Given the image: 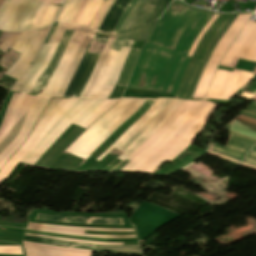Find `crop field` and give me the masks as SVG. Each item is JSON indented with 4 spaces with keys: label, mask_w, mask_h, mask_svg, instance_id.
Masks as SVG:
<instances>
[{
    "label": "crop field",
    "mask_w": 256,
    "mask_h": 256,
    "mask_svg": "<svg viewBox=\"0 0 256 256\" xmlns=\"http://www.w3.org/2000/svg\"><path fill=\"white\" fill-rule=\"evenodd\" d=\"M103 100L104 99L95 100L94 103L90 106V108L77 119L74 125L80 126ZM111 100L112 99H105L100 104V106L87 118V120L81 125V127L86 128L95 119V117L109 104Z\"/></svg>",
    "instance_id": "4a817a6b"
},
{
    "label": "crop field",
    "mask_w": 256,
    "mask_h": 256,
    "mask_svg": "<svg viewBox=\"0 0 256 256\" xmlns=\"http://www.w3.org/2000/svg\"><path fill=\"white\" fill-rule=\"evenodd\" d=\"M200 101H187L121 171H134Z\"/></svg>",
    "instance_id": "22f410ed"
},
{
    "label": "crop field",
    "mask_w": 256,
    "mask_h": 256,
    "mask_svg": "<svg viewBox=\"0 0 256 256\" xmlns=\"http://www.w3.org/2000/svg\"><path fill=\"white\" fill-rule=\"evenodd\" d=\"M159 0H149V2L146 4V6L143 8L141 13L139 14L132 30L130 31L125 43L123 46L131 48L134 40L144 23L146 17L149 15V13L152 11V9L155 7V5L158 3ZM170 0H160L159 3L156 5V7L153 9V11L150 13V15L147 17L137 39L135 42L145 41L155 19L158 17V15L161 13V11L164 9V7L167 5V3ZM123 47L115 64L113 65L98 97H106L123 62L125 61L130 49Z\"/></svg>",
    "instance_id": "e52e79f7"
},
{
    "label": "crop field",
    "mask_w": 256,
    "mask_h": 256,
    "mask_svg": "<svg viewBox=\"0 0 256 256\" xmlns=\"http://www.w3.org/2000/svg\"><path fill=\"white\" fill-rule=\"evenodd\" d=\"M38 1L18 0L4 31H26L34 26L44 28L50 25L59 7L37 4ZM31 33H2L0 48L5 52L7 49L19 52L21 54L18 59L32 62L44 36Z\"/></svg>",
    "instance_id": "ac0d7876"
},
{
    "label": "crop field",
    "mask_w": 256,
    "mask_h": 256,
    "mask_svg": "<svg viewBox=\"0 0 256 256\" xmlns=\"http://www.w3.org/2000/svg\"><path fill=\"white\" fill-rule=\"evenodd\" d=\"M92 1L93 0H88L87 1V3H86V5H85V7H84V9H83V11H82V13H81V15H80V17H79V19H78L76 24L62 23V25H61V27H60V29H59V31H58V33H57L53 43H52V45H51V47H50V49H49V51H48V53H47L43 63H42V65H41V67H40V69H39V71H38V73H37L33 83H32V85H31V87H30V89L28 91V93H30V91H31L35 81L40 76V74L47 68V66H48V64H49V62L51 60V57H52V55H53V53H54V51H55V49H56V47H57V45H58V43L60 41V38H61L64 30L66 28L76 29V31H75V33H74V35H73V37H72V39H71V41H70V43L68 45V47H67L63 57H62L59 65L57 66V64H58V62H59V60H60V58H61V56H62V54H63V52H64V50H65V48H66V46L68 44V42H69V40H70V38H71V36H72V34L74 32V30L66 29V31L64 32V34L62 36V39H61V41L59 43V46H58V48H57V50H56V52H55V54H54V56H53V58H52V60L50 62L48 68L42 73V75L36 81L32 91H31L32 94L39 95L42 92L43 88L45 87L46 83L48 82L49 78L51 77L53 71L55 70V68L57 66L56 70L54 71L52 77L50 78V80L47 83L46 87L44 88L43 92L40 94L42 96H45V94H46V92H47V90H48V88H49V86H50V84H51V82H52V80H53V78H54V76H55V74H56V72H57V70H58V68H59V66H60V64H61V62H62V60H63V58H64V56H65V54H66V52H67V50H68V48H69V46H70V44H71V42H72V40H73V38H74V36H75V34H76V32H77V30H78V28H79V26H80V24H81V22H82V20H83V18H84V16H85V14H86V12H87V10H88V8H89V6H90Z\"/></svg>",
    "instance_id": "dd49c442"
},
{
    "label": "crop field",
    "mask_w": 256,
    "mask_h": 256,
    "mask_svg": "<svg viewBox=\"0 0 256 256\" xmlns=\"http://www.w3.org/2000/svg\"><path fill=\"white\" fill-rule=\"evenodd\" d=\"M255 143H256L255 140H252L247 137L231 132V139L227 144V146L223 147V146L214 144L212 151L218 154L224 155L226 157L240 161L243 158V156L247 153L249 148L253 146ZM212 145L213 144L210 143L209 149L207 152L218 155L216 153L211 152ZM221 155H218V156H221ZM224 156H221V157H224ZM229 158H226V159H229ZM232 159H229V160H232ZM232 161H235V160H232ZM239 161H235V162L240 163ZM243 163L256 167V145L248 152L247 156L243 160ZM243 163L241 164L248 166L250 168L256 169L255 167H252Z\"/></svg>",
    "instance_id": "cbeb9de0"
},
{
    "label": "crop field",
    "mask_w": 256,
    "mask_h": 256,
    "mask_svg": "<svg viewBox=\"0 0 256 256\" xmlns=\"http://www.w3.org/2000/svg\"><path fill=\"white\" fill-rule=\"evenodd\" d=\"M0 253L22 254L20 246H0Z\"/></svg>",
    "instance_id": "4177f3b9"
},
{
    "label": "crop field",
    "mask_w": 256,
    "mask_h": 256,
    "mask_svg": "<svg viewBox=\"0 0 256 256\" xmlns=\"http://www.w3.org/2000/svg\"><path fill=\"white\" fill-rule=\"evenodd\" d=\"M30 64L16 61L4 74V77L17 80L28 68Z\"/></svg>",
    "instance_id": "214f88e0"
},
{
    "label": "crop field",
    "mask_w": 256,
    "mask_h": 256,
    "mask_svg": "<svg viewBox=\"0 0 256 256\" xmlns=\"http://www.w3.org/2000/svg\"><path fill=\"white\" fill-rule=\"evenodd\" d=\"M148 0H131L124 9L109 41L123 44L137 15ZM107 42L99 61L80 97H96L119 50L121 44Z\"/></svg>",
    "instance_id": "34b2d1b8"
},
{
    "label": "crop field",
    "mask_w": 256,
    "mask_h": 256,
    "mask_svg": "<svg viewBox=\"0 0 256 256\" xmlns=\"http://www.w3.org/2000/svg\"><path fill=\"white\" fill-rule=\"evenodd\" d=\"M110 1L111 0H94L92 2L46 96L61 97L83 51Z\"/></svg>",
    "instance_id": "412701ff"
},
{
    "label": "crop field",
    "mask_w": 256,
    "mask_h": 256,
    "mask_svg": "<svg viewBox=\"0 0 256 256\" xmlns=\"http://www.w3.org/2000/svg\"><path fill=\"white\" fill-rule=\"evenodd\" d=\"M60 101L41 98L3 137L0 141V164Z\"/></svg>",
    "instance_id": "5a996713"
},
{
    "label": "crop field",
    "mask_w": 256,
    "mask_h": 256,
    "mask_svg": "<svg viewBox=\"0 0 256 256\" xmlns=\"http://www.w3.org/2000/svg\"><path fill=\"white\" fill-rule=\"evenodd\" d=\"M130 0H113L111 2V4L108 6L74 76L72 77L63 97H68L77 78H78V75L89 55L88 51L94 41L95 38H99V39H105V40H108L113 28L115 27L123 9L125 8V6L128 4ZM99 58V55H95V54H90L71 94L69 97H79L87 79L89 78L97 60Z\"/></svg>",
    "instance_id": "f4fd0767"
},
{
    "label": "crop field",
    "mask_w": 256,
    "mask_h": 256,
    "mask_svg": "<svg viewBox=\"0 0 256 256\" xmlns=\"http://www.w3.org/2000/svg\"><path fill=\"white\" fill-rule=\"evenodd\" d=\"M26 230H30V231H39V232H50V233L64 234V235L96 237V238H136L135 235H130V236H105V235L71 234V233H65V232L47 231V230L32 229V228H27Z\"/></svg>",
    "instance_id": "dafd665d"
},
{
    "label": "crop field",
    "mask_w": 256,
    "mask_h": 256,
    "mask_svg": "<svg viewBox=\"0 0 256 256\" xmlns=\"http://www.w3.org/2000/svg\"><path fill=\"white\" fill-rule=\"evenodd\" d=\"M86 1H87V0H83V1L80 3V5H79V7H78V10H77V12H76V14H75V16H74L75 19H76L78 13L81 11V9L84 7ZM75 19L72 20L73 23H74Z\"/></svg>",
    "instance_id": "730fd06b"
},
{
    "label": "crop field",
    "mask_w": 256,
    "mask_h": 256,
    "mask_svg": "<svg viewBox=\"0 0 256 256\" xmlns=\"http://www.w3.org/2000/svg\"><path fill=\"white\" fill-rule=\"evenodd\" d=\"M210 101L203 102L210 103ZM210 104L200 102L137 169L153 170L163 160V158L182 140V138L201 120V118L213 107L214 104ZM215 108L216 105L206 114V116L200 121V123L206 124L209 116L215 110Z\"/></svg>",
    "instance_id": "d8731c3e"
},
{
    "label": "crop field",
    "mask_w": 256,
    "mask_h": 256,
    "mask_svg": "<svg viewBox=\"0 0 256 256\" xmlns=\"http://www.w3.org/2000/svg\"><path fill=\"white\" fill-rule=\"evenodd\" d=\"M251 99L256 100V95L253 98H251Z\"/></svg>",
    "instance_id": "ae1a2a85"
},
{
    "label": "crop field",
    "mask_w": 256,
    "mask_h": 256,
    "mask_svg": "<svg viewBox=\"0 0 256 256\" xmlns=\"http://www.w3.org/2000/svg\"><path fill=\"white\" fill-rule=\"evenodd\" d=\"M256 31V23H252V22H247V24L245 25V27L243 28L242 32L239 34V36L237 37V39L233 42L232 46L230 47V49L227 51V53L225 54L224 58L221 61V65H227V66H232L234 67L245 44L248 42V40L252 37V35L255 33ZM225 71L223 70H217L216 75L214 77V80L211 84V87L209 89L208 94L206 95L205 99H211L223 74ZM231 72L226 71L213 98L212 99H218L229 76H230Z\"/></svg>",
    "instance_id": "28ad6ade"
},
{
    "label": "crop field",
    "mask_w": 256,
    "mask_h": 256,
    "mask_svg": "<svg viewBox=\"0 0 256 256\" xmlns=\"http://www.w3.org/2000/svg\"><path fill=\"white\" fill-rule=\"evenodd\" d=\"M53 0H40L39 3L51 4ZM38 3V2H37Z\"/></svg>",
    "instance_id": "eef30255"
},
{
    "label": "crop field",
    "mask_w": 256,
    "mask_h": 256,
    "mask_svg": "<svg viewBox=\"0 0 256 256\" xmlns=\"http://www.w3.org/2000/svg\"><path fill=\"white\" fill-rule=\"evenodd\" d=\"M36 220L50 221V222L95 223V224L123 225L121 219L53 216V215H43V214H38Z\"/></svg>",
    "instance_id": "d9b57169"
},
{
    "label": "crop field",
    "mask_w": 256,
    "mask_h": 256,
    "mask_svg": "<svg viewBox=\"0 0 256 256\" xmlns=\"http://www.w3.org/2000/svg\"><path fill=\"white\" fill-rule=\"evenodd\" d=\"M250 14L246 15H240V17L237 19V21L234 23V25L231 27V29L228 31V33L223 38L214 58L212 59L204 77L202 78L193 98L202 99L211 80L214 75V72L216 70L217 64L220 60V58L225 53L226 49L232 42V40L235 38V36L238 34L240 29L243 27L245 22L247 21Z\"/></svg>",
    "instance_id": "5142ce71"
},
{
    "label": "crop field",
    "mask_w": 256,
    "mask_h": 256,
    "mask_svg": "<svg viewBox=\"0 0 256 256\" xmlns=\"http://www.w3.org/2000/svg\"><path fill=\"white\" fill-rule=\"evenodd\" d=\"M24 240L36 242V243H43V244H50V245H57V246H63V247L85 249V250H94L95 249V245L75 244V243L47 240V239H41V238H35V237H29V236H25Z\"/></svg>",
    "instance_id": "bc2a9ffb"
},
{
    "label": "crop field",
    "mask_w": 256,
    "mask_h": 256,
    "mask_svg": "<svg viewBox=\"0 0 256 256\" xmlns=\"http://www.w3.org/2000/svg\"><path fill=\"white\" fill-rule=\"evenodd\" d=\"M25 235L48 238V239H57V240H66V241H74V242L91 243V244H96V245H122V243H101V242L70 240V239L55 238V237H49V236H43V235H37V234H29V233H26Z\"/></svg>",
    "instance_id": "00972430"
},
{
    "label": "crop field",
    "mask_w": 256,
    "mask_h": 256,
    "mask_svg": "<svg viewBox=\"0 0 256 256\" xmlns=\"http://www.w3.org/2000/svg\"><path fill=\"white\" fill-rule=\"evenodd\" d=\"M251 73L234 69L220 98L227 100L231 97L243 84L247 83Z\"/></svg>",
    "instance_id": "733c2abd"
},
{
    "label": "crop field",
    "mask_w": 256,
    "mask_h": 256,
    "mask_svg": "<svg viewBox=\"0 0 256 256\" xmlns=\"http://www.w3.org/2000/svg\"><path fill=\"white\" fill-rule=\"evenodd\" d=\"M30 224H32V223H30ZM32 225L47 226V227H56V228L80 229V230H96V231H134L133 229L75 228V227L52 226V225H44V224H32Z\"/></svg>",
    "instance_id": "a9b5d70f"
},
{
    "label": "crop field",
    "mask_w": 256,
    "mask_h": 256,
    "mask_svg": "<svg viewBox=\"0 0 256 256\" xmlns=\"http://www.w3.org/2000/svg\"><path fill=\"white\" fill-rule=\"evenodd\" d=\"M240 58L256 62V33L247 43Z\"/></svg>",
    "instance_id": "92a150f3"
},
{
    "label": "crop field",
    "mask_w": 256,
    "mask_h": 256,
    "mask_svg": "<svg viewBox=\"0 0 256 256\" xmlns=\"http://www.w3.org/2000/svg\"><path fill=\"white\" fill-rule=\"evenodd\" d=\"M145 100H119L63 153L90 155L124 121L133 115ZM182 101L155 100L146 113L100 156L128 157L175 111Z\"/></svg>",
    "instance_id": "8a807250"
},
{
    "label": "crop field",
    "mask_w": 256,
    "mask_h": 256,
    "mask_svg": "<svg viewBox=\"0 0 256 256\" xmlns=\"http://www.w3.org/2000/svg\"><path fill=\"white\" fill-rule=\"evenodd\" d=\"M94 100H78L20 161L33 165Z\"/></svg>",
    "instance_id": "3316defc"
},
{
    "label": "crop field",
    "mask_w": 256,
    "mask_h": 256,
    "mask_svg": "<svg viewBox=\"0 0 256 256\" xmlns=\"http://www.w3.org/2000/svg\"><path fill=\"white\" fill-rule=\"evenodd\" d=\"M80 1L81 0H66V2L64 3V5H63V7H62V9H61V11H60L56 21L70 22L72 17H73V15H74V13H75V11H76V9H77V7H78V5H79V3H80ZM56 23L57 22H54V24H53V26H52V28H51V30H50V32H49L45 42H44L45 44L47 43V41H48V39H49V37H50V35H51V33H52ZM60 25H61V23L58 22L56 27H55V29H54V31H53V33H52V35H51V37H50V39H49V41H48V43H47V45L43 44V46H42V48H41V50H40V52H39V54H38L34 64L32 65V67L30 69V71L28 70L29 73L27 71L15 83V85L12 87L11 90L19 91V89H20V87H21V85H22V83H23V81H24V79H25V77H26V75L28 73V75H27V77H26V79H25V81H24V83H23V85H22V87L20 89L21 92L27 93V91H28V89H29V87H30V85H31V83H32V81H33V79H34V77H35V75H36V73H37V71H38V69H39V67H40V65H41V63H42V61H43V59H44V57H45V55H46L50 45H51V43H52V41H53V39H54V37L56 35V33H57V31H58V29H59V27H60Z\"/></svg>",
    "instance_id": "d1516ede"
}]
</instances>
